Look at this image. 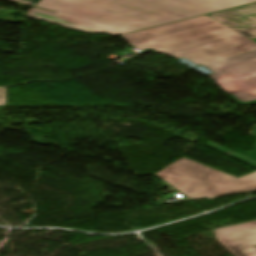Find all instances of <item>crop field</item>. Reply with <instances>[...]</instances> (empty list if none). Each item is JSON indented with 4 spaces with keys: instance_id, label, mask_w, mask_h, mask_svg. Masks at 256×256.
Instances as JSON below:
<instances>
[{
    "instance_id": "obj_1",
    "label": "crop field",
    "mask_w": 256,
    "mask_h": 256,
    "mask_svg": "<svg viewBox=\"0 0 256 256\" xmlns=\"http://www.w3.org/2000/svg\"><path fill=\"white\" fill-rule=\"evenodd\" d=\"M256 0H41L27 16L112 36L175 22Z\"/></svg>"
},
{
    "instance_id": "obj_2",
    "label": "crop field",
    "mask_w": 256,
    "mask_h": 256,
    "mask_svg": "<svg viewBox=\"0 0 256 256\" xmlns=\"http://www.w3.org/2000/svg\"><path fill=\"white\" fill-rule=\"evenodd\" d=\"M136 49L186 57L198 64L256 49V43L223 24L199 17L122 35Z\"/></svg>"
},
{
    "instance_id": "obj_3",
    "label": "crop field",
    "mask_w": 256,
    "mask_h": 256,
    "mask_svg": "<svg viewBox=\"0 0 256 256\" xmlns=\"http://www.w3.org/2000/svg\"><path fill=\"white\" fill-rule=\"evenodd\" d=\"M205 146L256 168V161L230 151L213 142ZM162 180L183 193L190 200L256 190V171L238 179L210 167L182 158L157 174Z\"/></svg>"
},
{
    "instance_id": "obj_4",
    "label": "crop field",
    "mask_w": 256,
    "mask_h": 256,
    "mask_svg": "<svg viewBox=\"0 0 256 256\" xmlns=\"http://www.w3.org/2000/svg\"><path fill=\"white\" fill-rule=\"evenodd\" d=\"M237 104H256V51L204 65Z\"/></svg>"
},
{
    "instance_id": "obj_5",
    "label": "crop field",
    "mask_w": 256,
    "mask_h": 256,
    "mask_svg": "<svg viewBox=\"0 0 256 256\" xmlns=\"http://www.w3.org/2000/svg\"><path fill=\"white\" fill-rule=\"evenodd\" d=\"M213 230L216 240L233 256H256V220Z\"/></svg>"
},
{
    "instance_id": "obj_6",
    "label": "crop field",
    "mask_w": 256,
    "mask_h": 256,
    "mask_svg": "<svg viewBox=\"0 0 256 256\" xmlns=\"http://www.w3.org/2000/svg\"><path fill=\"white\" fill-rule=\"evenodd\" d=\"M237 32L256 38V4L207 15Z\"/></svg>"
},
{
    "instance_id": "obj_7",
    "label": "crop field",
    "mask_w": 256,
    "mask_h": 256,
    "mask_svg": "<svg viewBox=\"0 0 256 256\" xmlns=\"http://www.w3.org/2000/svg\"><path fill=\"white\" fill-rule=\"evenodd\" d=\"M252 136H256V125L254 129L252 130L251 134ZM247 157L252 158L256 160V146L252 149V151L247 155Z\"/></svg>"
},
{
    "instance_id": "obj_8",
    "label": "crop field",
    "mask_w": 256,
    "mask_h": 256,
    "mask_svg": "<svg viewBox=\"0 0 256 256\" xmlns=\"http://www.w3.org/2000/svg\"><path fill=\"white\" fill-rule=\"evenodd\" d=\"M0 105H6L5 88H0Z\"/></svg>"
},
{
    "instance_id": "obj_9",
    "label": "crop field",
    "mask_w": 256,
    "mask_h": 256,
    "mask_svg": "<svg viewBox=\"0 0 256 256\" xmlns=\"http://www.w3.org/2000/svg\"><path fill=\"white\" fill-rule=\"evenodd\" d=\"M12 1H16V2L23 3V4H27V5L34 6V4H35L38 0H12Z\"/></svg>"
},
{
    "instance_id": "obj_10",
    "label": "crop field",
    "mask_w": 256,
    "mask_h": 256,
    "mask_svg": "<svg viewBox=\"0 0 256 256\" xmlns=\"http://www.w3.org/2000/svg\"><path fill=\"white\" fill-rule=\"evenodd\" d=\"M254 41H256V40H254Z\"/></svg>"
}]
</instances>
